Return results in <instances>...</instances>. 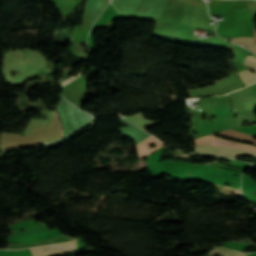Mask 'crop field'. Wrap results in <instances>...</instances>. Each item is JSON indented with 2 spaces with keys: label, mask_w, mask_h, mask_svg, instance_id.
Here are the masks:
<instances>
[{
  "label": "crop field",
  "mask_w": 256,
  "mask_h": 256,
  "mask_svg": "<svg viewBox=\"0 0 256 256\" xmlns=\"http://www.w3.org/2000/svg\"><path fill=\"white\" fill-rule=\"evenodd\" d=\"M210 254H215V255L221 254L224 256H247V254L231 251L225 248H216L215 250L211 251Z\"/></svg>",
  "instance_id": "crop-field-10"
},
{
  "label": "crop field",
  "mask_w": 256,
  "mask_h": 256,
  "mask_svg": "<svg viewBox=\"0 0 256 256\" xmlns=\"http://www.w3.org/2000/svg\"><path fill=\"white\" fill-rule=\"evenodd\" d=\"M195 143L241 148V149H246V150L256 152V147L225 141L223 139H220L214 136H206V137L199 138L195 140ZM199 144H195L196 146L195 152H198V153L218 155V156H224V157H230V158H234L239 155H250V156L256 157V153L250 152V151L234 149V148L199 145Z\"/></svg>",
  "instance_id": "crop-field-1"
},
{
  "label": "crop field",
  "mask_w": 256,
  "mask_h": 256,
  "mask_svg": "<svg viewBox=\"0 0 256 256\" xmlns=\"http://www.w3.org/2000/svg\"><path fill=\"white\" fill-rule=\"evenodd\" d=\"M216 118L211 121H202L201 136L231 129L234 112L228 111V107H215Z\"/></svg>",
  "instance_id": "crop-field-3"
},
{
  "label": "crop field",
  "mask_w": 256,
  "mask_h": 256,
  "mask_svg": "<svg viewBox=\"0 0 256 256\" xmlns=\"http://www.w3.org/2000/svg\"><path fill=\"white\" fill-rule=\"evenodd\" d=\"M57 245H61V246H64V247H67V248H71V249H75V250H76L77 241H76V239H73V240L70 241V242L61 243V244H57ZM61 246H60V247H61Z\"/></svg>",
  "instance_id": "crop-field-14"
},
{
  "label": "crop field",
  "mask_w": 256,
  "mask_h": 256,
  "mask_svg": "<svg viewBox=\"0 0 256 256\" xmlns=\"http://www.w3.org/2000/svg\"><path fill=\"white\" fill-rule=\"evenodd\" d=\"M106 5V0H105ZM105 8L104 0H88L83 16V29L84 31L95 22L100 13Z\"/></svg>",
  "instance_id": "crop-field-4"
},
{
  "label": "crop field",
  "mask_w": 256,
  "mask_h": 256,
  "mask_svg": "<svg viewBox=\"0 0 256 256\" xmlns=\"http://www.w3.org/2000/svg\"><path fill=\"white\" fill-rule=\"evenodd\" d=\"M125 118H127L129 121L136 124L137 126L141 127L142 129H144V127L159 123V122H155V121L145 120L143 118L142 114L127 116Z\"/></svg>",
  "instance_id": "crop-field-9"
},
{
  "label": "crop field",
  "mask_w": 256,
  "mask_h": 256,
  "mask_svg": "<svg viewBox=\"0 0 256 256\" xmlns=\"http://www.w3.org/2000/svg\"><path fill=\"white\" fill-rule=\"evenodd\" d=\"M243 64L247 65L248 67H250L251 69L256 71V58L249 56L244 62ZM241 78L243 79V81L247 84L256 81V74L251 73V72H246L242 75H240Z\"/></svg>",
  "instance_id": "crop-field-7"
},
{
  "label": "crop field",
  "mask_w": 256,
  "mask_h": 256,
  "mask_svg": "<svg viewBox=\"0 0 256 256\" xmlns=\"http://www.w3.org/2000/svg\"><path fill=\"white\" fill-rule=\"evenodd\" d=\"M30 252L33 256H48L52 254H63L71 251L58 248V247H53V246H45V247L30 249Z\"/></svg>",
  "instance_id": "crop-field-6"
},
{
  "label": "crop field",
  "mask_w": 256,
  "mask_h": 256,
  "mask_svg": "<svg viewBox=\"0 0 256 256\" xmlns=\"http://www.w3.org/2000/svg\"><path fill=\"white\" fill-rule=\"evenodd\" d=\"M249 245L241 244V243H236V242H228L226 243V247L230 248H235L239 250H243L244 248L248 247Z\"/></svg>",
  "instance_id": "crop-field-13"
},
{
  "label": "crop field",
  "mask_w": 256,
  "mask_h": 256,
  "mask_svg": "<svg viewBox=\"0 0 256 256\" xmlns=\"http://www.w3.org/2000/svg\"><path fill=\"white\" fill-rule=\"evenodd\" d=\"M57 109L63 126L64 137L93 122L92 116L80 111L65 100L63 95H61V101Z\"/></svg>",
  "instance_id": "crop-field-2"
},
{
  "label": "crop field",
  "mask_w": 256,
  "mask_h": 256,
  "mask_svg": "<svg viewBox=\"0 0 256 256\" xmlns=\"http://www.w3.org/2000/svg\"><path fill=\"white\" fill-rule=\"evenodd\" d=\"M56 113V112H55ZM57 115V114H56ZM60 123V122H59ZM60 127H61V125H60ZM61 131H62V128H61ZM62 135H63V133H62Z\"/></svg>",
  "instance_id": "crop-field-15"
},
{
  "label": "crop field",
  "mask_w": 256,
  "mask_h": 256,
  "mask_svg": "<svg viewBox=\"0 0 256 256\" xmlns=\"http://www.w3.org/2000/svg\"><path fill=\"white\" fill-rule=\"evenodd\" d=\"M43 230H47L46 225L38 227V228L30 229V230H27L24 232H12L11 235H26L29 233L39 232V231H43Z\"/></svg>",
  "instance_id": "crop-field-12"
},
{
  "label": "crop field",
  "mask_w": 256,
  "mask_h": 256,
  "mask_svg": "<svg viewBox=\"0 0 256 256\" xmlns=\"http://www.w3.org/2000/svg\"><path fill=\"white\" fill-rule=\"evenodd\" d=\"M68 240H72V238H70L67 235V236L46 240L41 243L32 244V245L10 244L7 248H25V247L41 246V245H47V244L60 243V242L68 241Z\"/></svg>",
  "instance_id": "crop-field-8"
},
{
  "label": "crop field",
  "mask_w": 256,
  "mask_h": 256,
  "mask_svg": "<svg viewBox=\"0 0 256 256\" xmlns=\"http://www.w3.org/2000/svg\"><path fill=\"white\" fill-rule=\"evenodd\" d=\"M255 39H256V32H255Z\"/></svg>",
  "instance_id": "crop-field-16"
},
{
  "label": "crop field",
  "mask_w": 256,
  "mask_h": 256,
  "mask_svg": "<svg viewBox=\"0 0 256 256\" xmlns=\"http://www.w3.org/2000/svg\"><path fill=\"white\" fill-rule=\"evenodd\" d=\"M232 41L241 43L244 46H246L256 52V45H255V41L253 39H232Z\"/></svg>",
  "instance_id": "crop-field-11"
},
{
  "label": "crop field",
  "mask_w": 256,
  "mask_h": 256,
  "mask_svg": "<svg viewBox=\"0 0 256 256\" xmlns=\"http://www.w3.org/2000/svg\"><path fill=\"white\" fill-rule=\"evenodd\" d=\"M151 143H155L157 146L151 149H148L150 147ZM165 144L157 140L156 138H151L148 141L142 143L141 145L137 146V151L139 154V158H145L148 154L154 152L155 150L163 147Z\"/></svg>",
  "instance_id": "crop-field-5"
}]
</instances>
